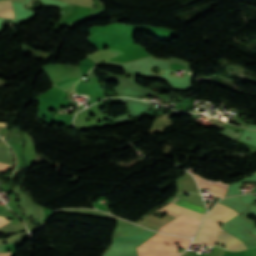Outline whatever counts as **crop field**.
I'll list each match as a JSON object with an SVG mask.
<instances>
[{
  "label": "crop field",
  "instance_id": "5a996713",
  "mask_svg": "<svg viewBox=\"0 0 256 256\" xmlns=\"http://www.w3.org/2000/svg\"><path fill=\"white\" fill-rule=\"evenodd\" d=\"M0 256H10V252L9 253H0Z\"/></svg>",
  "mask_w": 256,
  "mask_h": 256
},
{
  "label": "crop field",
  "instance_id": "28ad6ade",
  "mask_svg": "<svg viewBox=\"0 0 256 256\" xmlns=\"http://www.w3.org/2000/svg\"><path fill=\"white\" fill-rule=\"evenodd\" d=\"M78 110V109H77ZM74 111H76V110H74Z\"/></svg>",
  "mask_w": 256,
  "mask_h": 256
},
{
  "label": "crop field",
  "instance_id": "412701ff",
  "mask_svg": "<svg viewBox=\"0 0 256 256\" xmlns=\"http://www.w3.org/2000/svg\"><path fill=\"white\" fill-rule=\"evenodd\" d=\"M144 245L137 247L139 256H178L180 254L179 252H173Z\"/></svg>",
  "mask_w": 256,
  "mask_h": 256
},
{
  "label": "crop field",
  "instance_id": "d8731c3e",
  "mask_svg": "<svg viewBox=\"0 0 256 256\" xmlns=\"http://www.w3.org/2000/svg\"><path fill=\"white\" fill-rule=\"evenodd\" d=\"M9 221H6V219L0 217V227L3 226L4 224H6Z\"/></svg>",
  "mask_w": 256,
  "mask_h": 256
},
{
  "label": "crop field",
  "instance_id": "e52e79f7",
  "mask_svg": "<svg viewBox=\"0 0 256 256\" xmlns=\"http://www.w3.org/2000/svg\"><path fill=\"white\" fill-rule=\"evenodd\" d=\"M8 167V164L0 163V171L4 172Z\"/></svg>",
  "mask_w": 256,
  "mask_h": 256
},
{
  "label": "crop field",
  "instance_id": "dd49c442",
  "mask_svg": "<svg viewBox=\"0 0 256 256\" xmlns=\"http://www.w3.org/2000/svg\"><path fill=\"white\" fill-rule=\"evenodd\" d=\"M191 173L194 175V177L196 178L198 183H207V184H212V185L225 187V188L228 187V184H223L221 180L218 182H214V181L203 179V178L199 177L198 175L194 174L193 172H191Z\"/></svg>",
  "mask_w": 256,
  "mask_h": 256
},
{
  "label": "crop field",
  "instance_id": "ac0d7876",
  "mask_svg": "<svg viewBox=\"0 0 256 256\" xmlns=\"http://www.w3.org/2000/svg\"><path fill=\"white\" fill-rule=\"evenodd\" d=\"M177 197H179V198H181V199H183V200H185V201H187V202H190V203H193V204H196V205H198V206H200V207L205 208L204 203H203V200H202V198H201V195L191 193L188 197H186V196L184 195V193H182V194L178 195ZM177 197L172 201V203H175V204H177V205L186 207V208H188V209L194 210V211H196V212H199V213H202V214L205 215L206 209L199 208V207H197V206H195V205H193V204L184 202V201L178 199ZM172 203L166 205L165 207L170 208V209H173V210L178 211V212H180V213H183V214L192 216V217H194V218H196V219H198V220H203L204 215H201V214H199V213L193 212V211H191V210L185 209V208H183V207L177 206V205L172 204ZM165 207L159 209L158 211H162V212L168 213V214L173 215V216H175V217H177L178 215H180V213L175 212V211H172V210L167 209V208H165Z\"/></svg>",
  "mask_w": 256,
  "mask_h": 256
},
{
  "label": "crop field",
  "instance_id": "f4fd0767",
  "mask_svg": "<svg viewBox=\"0 0 256 256\" xmlns=\"http://www.w3.org/2000/svg\"><path fill=\"white\" fill-rule=\"evenodd\" d=\"M0 15L14 18L10 1H0Z\"/></svg>",
  "mask_w": 256,
  "mask_h": 256
},
{
  "label": "crop field",
  "instance_id": "8a807250",
  "mask_svg": "<svg viewBox=\"0 0 256 256\" xmlns=\"http://www.w3.org/2000/svg\"><path fill=\"white\" fill-rule=\"evenodd\" d=\"M237 214L239 213L218 202L207 217L217 222L220 221L224 224ZM215 242H217L219 246H221V244H224V248L231 251L251 248L247 244L243 243L242 241L235 238L221 228H218Z\"/></svg>",
  "mask_w": 256,
  "mask_h": 256
},
{
  "label": "crop field",
  "instance_id": "3316defc",
  "mask_svg": "<svg viewBox=\"0 0 256 256\" xmlns=\"http://www.w3.org/2000/svg\"><path fill=\"white\" fill-rule=\"evenodd\" d=\"M215 199H216V197L214 198V200H215ZM214 200H213V201H214ZM213 201H212V202H213ZM212 202H211V203H209V204H207V206L209 207V206L212 204Z\"/></svg>",
  "mask_w": 256,
  "mask_h": 256
},
{
  "label": "crop field",
  "instance_id": "34b2d1b8",
  "mask_svg": "<svg viewBox=\"0 0 256 256\" xmlns=\"http://www.w3.org/2000/svg\"><path fill=\"white\" fill-rule=\"evenodd\" d=\"M200 221L181 214L177 219L161 227L160 231L186 237H193Z\"/></svg>",
  "mask_w": 256,
  "mask_h": 256
}]
</instances>
